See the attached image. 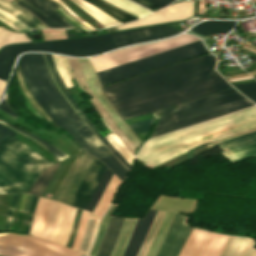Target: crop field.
Wrapping results in <instances>:
<instances>
[{
	"label": "crop field",
	"mask_w": 256,
	"mask_h": 256,
	"mask_svg": "<svg viewBox=\"0 0 256 256\" xmlns=\"http://www.w3.org/2000/svg\"><path fill=\"white\" fill-rule=\"evenodd\" d=\"M209 53L116 84L104 92L124 120L231 88Z\"/></svg>",
	"instance_id": "8a807250"
},
{
	"label": "crop field",
	"mask_w": 256,
	"mask_h": 256,
	"mask_svg": "<svg viewBox=\"0 0 256 256\" xmlns=\"http://www.w3.org/2000/svg\"><path fill=\"white\" fill-rule=\"evenodd\" d=\"M26 85L56 125L69 132L86 152L102 160L121 180L128 172L99 142L53 84L41 53L18 60Z\"/></svg>",
	"instance_id": "ac0d7876"
},
{
	"label": "crop field",
	"mask_w": 256,
	"mask_h": 256,
	"mask_svg": "<svg viewBox=\"0 0 256 256\" xmlns=\"http://www.w3.org/2000/svg\"><path fill=\"white\" fill-rule=\"evenodd\" d=\"M256 128V106L148 140L135 158L154 167L193 147Z\"/></svg>",
	"instance_id": "34b2d1b8"
},
{
	"label": "crop field",
	"mask_w": 256,
	"mask_h": 256,
	"mask_svg": "<svg viewBox=\"0 0 256 256\" xmlns=\"http://www.w3.org/2000/svg\"><path fill=\"white\" fill-rule=\"evenodd\" d=\"M0 147V187L6 193L27 192L39 174L53 163L12 138Z\"/></svg>",
	"instance_id": "412701ff"
},
{
	"label": "crop field",
	"mask_w": 256,
	"mask_h": 256,
	"mask_svg": "<svg viewBox=\"0 0 256 256\" xmlns=\"http://www.w3.org/2000/svg\"><path fill=\"white\" fill-rule=\"evenodd\" d=\"M131 44L125 31L90 38L29 44L5 48L0 52V79L6 81L15 57L23 51H52L85 56Z\"/></svg>",
	"instance_id": "f4fd0767"
},
{
	"label": "crop field",
	"mask_w": 256,
	"mask_h": 256,
	"mask_svg": "<svg viewBox=\"0 0 256 256\" xmlns=\"http://www.w3.org/2000/svg\"><path fill=\"white\" fill-rule=\"evenodd\" d=\"M252 105V103L236 92L173 112L160 117L150 138Z\"/></svg>",
	"instance_id": "dd49c442"
},
{
	"label": "crop field",
	"mask_w": 256,
	"mask_h": 256,
	"mask_svg": "<svg viewBox=\"0 0 256 256\" xmlns=\"http://www.w3.org/2000/svg\"><path fill=\"white\" fill-rule=\"evenodd\" d=\"M207 52L201 40L97 72L101 84L113 82L175 61Z\"/></svg>",
	"instance_id": "e52e79f7"
},
{
	"label": "crop field",
	"mask_w": 256,
	"mask_h": 256,
	"mask_svg": "<svg viewBox=\"0 0 256 256\" xmlns=\"http://www.w3.org/2000/svg\"><path fill=\"white\" fill-rule=\"evenodd\" d=\"M0 254L5 256H79V252L36 237L0 233Z\"/></svg>",
	"instance_id": "d8731c3e"
},
{
	"label": "crop field",
	"mask_w": 256,
	"mask_h": 256,
	"mask_svg": "<svg viewBox=\"0 0 256 256\" xmlns=\"http://www.w3.org/2000/svg\"><path fill=\"white\" fill-rule=\"evenodd\" d=\"M195 40H198V38L191 35L182 34L177 37L149 44H143L113 51L90 59L92 61L95 71L97 72Z\"/></svg>",
	"instance_id": "5a996713"
},
{
	"label": "crop field",
	"mask_w": 256,
	"mask_h": 256,
	"mask_svg": "<svg viewBox=\"0 0 256 256\" xmlns=\"http://www.w3.org/2000/svg\"><path fill=\"white\" fill-rule=\"evenodd\" d=\"M195 205L196 200L180 199L163 195L159 196L151 208L167 211V213L146 256H155L175 212L193 213Z\"/></svg>",
	"instance_id": "3316defc"
},
{
	"label": "crop field",
	"mask_w": 256,
	"mask_h": 256,
	"mask_svg": "<svg viewBox=\"0 0 256 256\" xmlns=\"http://www.w3.org/2000/svg\"><path fill=\"white\" fill-rule=\"evenodd\" d=\"M93 158L91 155L81 152L57 191L55 200L72 204L80 181Z\"/></svg>",
	"instance_id": "28ad6ade"
},
{
	"label": "crop field",
	"mask_w": 256,
	"mask_h": 256,
	"mask_svg": "<svg viewBox=\"0 0 256 256\" xmlns=\"http://www.w3.org/2000/svg\"><path fill=\"white\" fill-rule=\"evenodd\" d=\"M187 217L177 214L156 256H178L192 228L187 227Z\"/></svg>",
	"instance_id": "d1516ede"
},
{
	"label": "crop field",
	"mask_w": 256,
	"mask_h": 256,
	"mask_svg": "<svg viewBox=\"0 0 256 256\" xmlns=\"http://www.w3.org/2000/svg\"><path fill=\"white\" fill-rule=\"evenodd\" d=\"M58 202L38 198L30 233L44 239H50L53 231Z\"/></svg>",
	"instance_id": "22f410ed"
},
{
	"label": "crop field",
	"mask_w": 256,
	"mask_h": 256,
	"mask_svg": "<svg viewBox=\"0 0 256 256\" xmlns=\"http://www.w3.org/2000/svg\"><path fill=\"white\" fill-rule=\"evenodd\" d=\"M28 2L33 7L38 9H33L28 4L22 2L21 0H16L14 3L25 8L35 16H37L48 28H72L67 22H65L53 9L59 7L56 3L51 0H23Z\"/></svg>",
	"instance_id": "cbeb9de0"
},
{
	"label": "crop field",
	"mask_w": 256,
	"mask_h": 256,
	"mask_svg": "<svg viewBox=\"0 0 256 256\" xmlns=\"http://www.w3.org/2000/svg\"><path fill=\"white\" fill-rule=\"evenodd\" d=\"M105 168L101 162L94 158L84 175L72 205L86 208Z\"/></svg>",
	"instance_id": "5142ce71"
},
{
	"label": "crop field",
	"mask_w": 256,
	"mask_h": 256,
	"mask_svg": "<svg viewBox=\"0 0 256 256\" xmlns=\"http://www.w3.org/2000/svg\"><path fill=\"white\" fill-rule=\"evenodd\" d=\"M157 211L149 209L143 219H138L122 256H136Z\"/></svg>",
	"instance_id": "d9b57169"
},
{
	"label": "crop field",
	"mask_w": 256,
	"mask_h": 256,
	"mask_svg": "<svg viewBox=\"0 0 256 256\" xmlns=\"http://www.w3.org/2000/svg\"><path fill=\"white\" fill-rule=\"evenodd\" d=\"M75 210V208L60 203L54 231L50 240L64 246L66 245L71 231Z\"/></svg>",
	"instance_id": "733c2abd"
},
{
	"label": "crop field",
	"mask_w": 256,
	"mask_h": 256,
	"mask_svg": "<svg viewBox=\"0 0 256 256\" xmlns=\"http://www.w3.org/2000/svg\"><path fill=\"white\" fill-rule=\"evenodd\" d=\"M223 154L232 162L256 156V135L223 146Z\"/></svg>",
	"instance_id": "4a817a6b"
},
{
	"label": "crop field",
	"mask_w": 256,
	"mask_h": 256,
	"mask_svg": "<svg viewBox=\"0 0 256 256\" xmlns=\"http://www.w3.org/2000/svg\"><path fill=\"white\" fill-rule=\"evenodd\" d=\"M254 240L246 237L227 236L221 256H256Z\"/></svg>",
	"instance_id": "bc2a9ffb"
},
{
	"label": "crop field",
	"mask_w": 256,
	"mask_h": 256,
	"mask_svg": "<svg viewBox=\"0 0 256 256\" xmlns=\"http://www.w3.org/2000/svg\"><path fill=\"white\" fill-rule=\"evenodd\" d=\"M124 218L111 216L97 256H109Z\"/></svg>",
	"instance_id": "214f88e0"
},
{
	"label": "crop field",
	"mask_w": 256,
	"mask_h": 256,
	"mask_svg": "<svg viewBox=\"0 0 256 256\" xmlns=\"http://www.w3.org/2000/svg\"><path fill=\"white\" fill-rule=\"evenodd\" d=\"M194 1L174 3L159 10L166 22L185 19L193 15Z\"/></svg>",
	"instance_id": "92a150f3"
},
{
	"label": "crop field",
	"mask_w": 256,
	"mask_h": 256,
	"mask_svg": "<svg viewBox=\"0 0 256 256\" xmlns=\"http://www.w3.org/2000/svg\"><path fill=\"white\" fill-rule=\"evenodd\" d=\"M210 233L192 230L180 256H199Z\"/></svg>",
	"instance_id": "dafd665d"
},
{
	"label": "crop field",
	"mask_w": 256,
	"mask_h": 256,
	"mask_svg": "<svg viewBox=\"0 0 256 256\" xmlns=\"http://www.w3.org/2000/svg\"><path fill=\"white\" fill-rule=\"evenodd\" d=\"M234 25H235V21H204L190 30L203 35H208V34L227 32Z\"/></svg>",
	"instance_id": "00972430"
},
{
	"label": "crop field",
	"mask_w": 256,
	"mask_h": 256,
	"mask_svg": "<svg viewBox=\"0 0 256 256\" xmlns=\"http://www.w3.org/2000/svg\"><path fill=\"white\" fill-rule=\"evenodd\" d=\"M91 4H93L94 6L104 10L105 12H107L109 15H111L112 17L116 18L117 20H119L122 23L125 22H129V21H133V20H137L139 18L103 1V0H85Z\"/></svg>",
	"instance_id": "a9b5d70f"
},
{
	"label": "crop field",
	"mask_w": 256,
	"mask_h": 256,
	"mask_svg": "<svg viewBox=\"0 0 256 256\" xmlns=\"http://www.w3.org/2000/svg\"><path fill=\"white\" fill-rule=\"evenodd\" d=\"M137 219H124L116 245L111 256H121Z\"/></svg>",
	"instance_id": "4177f3b9"
},
{
	"label": "crop field",
	"mask_w": 256,
	"mask_h": 256,
	"mask_svg": "<svg viewBox=\"0 0 256 256\" xmlns=\"http://www.w3.org/2000/svg\"><path fill=\"white\" fill-rule=\"evenodd\" d=\"M0 8L13 14L23 22H25L27 25H29L32 28H46L43 24H41L36 18H34L32 15H30L28 12L4 1L0 0ZM20 11H23L21 13Z\"/></svg>",
	"instance_id": "730fd06b"
},
{
	"label": "crop field",
	"mask_w": 256,
	"mask_h": 256,
	"mask_svg": "<svg viewBox=\"0 0 256 256\" xmlns=\"http://www.w3.org/2000/svg\"><path fill=\"white\" fill-rule=\"evenodd\" d=\"M121 181L118 180L114 175L113 177L111 178L108 186L106 187L104 193L102 194L95 210H94V214L100 218V216L104 213V211L108 208L112 198H113V195L119 185Z\"/></svg>",
	"instance_id": "eef30255"
},
{
	"label": "crop field",
	"mask_w": 256,
	"mask_h": 256,
	"mask_svg": "<svg viewBox=\"0 0 256 256\" xmlns=\"http://www.w3.org/2000/svg\"><path fill=\"white\" fill-rule=\"evenodd\" d=\"M226 236L212 232L201 256H220Z\"/></svg>",
	"instance_id": "ae1a2a85"
},
{
	"label": "crop field",
	"mask_w": 256,
	"mask_h": 256,
	"mask_svg": "<svg viewBox=\"0 0 256 256\" xmlns=\"http://www.w3.org/2000/svg\"><path fill=\"white\" fill-rule=\"evenodd\" d=\"M0 123L12 128L14 131L18 132V133H21L23 135H26L28 136L29 138L33 139L34 141L40 143L41 145H43L44 147H46L56 158H58L59 160H62L66 157H68L66 154H64L63 152H61L60 150H58L56 147H54L52 144L46 142L45 140L7 122V121H4L2 119H0Z\"/></svg>",
	"instance_id": "d3111659"
},
{
	"label": "crop field",
	"mask_w": 256,
	"mask_h": 256,
	"mask_svg": "<svg viewBox=\"0 0 256 256\" xmlns=\"http://www.w3.org/2000/svg\"><path fill=\"white\" fill-rule=\"evenodd\" d=\"M72 1L75 4H77L78 6H80L81 8H83L85 11H87L89 14H91L93 17H95L99 22H101L106 27L120 24L118 21H116L114 18H112L108 14L104 13L100 9L94 7L93 5L85 2L84 0H76V1H78L80 4H82L83 6L88 8L89 10H91L94 14L92 12L88 11L87 9H85L83 6L76 3L74 0H72Z\"/></svg>",
	"instance_id": "750c4746"
},
{
	"label": "crop field",
	"mask_w": 256,
	"mask_h": 256,
	"mask_svg": "<svg viewBox=\"0 0 256 256\" xmlns=\"http://www.w3.org/2000/svg\"><path fill=\"white\" fill-rule=\"evenodd\" d=\"M59 164L60 162L46 169L34 183L29 192L41 196L48 181L50 180L51 176L53 175Z\"/></svg>",
	"instance_id": "bd1437ed"
},
{
	"label": "crop field",
	"mask_w": 256,
	"mask_h": 256,
	"mask_svg": "<svg viewBox=\"0 0 256 256\" xmlns=\"http://www.w3.org/2000/svg\"><path fill=\"white\" fill-rule=\"evenodd\" d=\"M165 213L166 212H162V211L157 212V214L154 218V221L151 225V228H150V230L147 234V237H146V239H145V241H144V243H143V245H142V247H141L137 256H145V254H146V252H147V250H148V248H149V246H150V244H151V242H152V240H153V238H154V236H155V234L158 230V227H159Z\"/></svg>",
	"instance_id": "1d83c4d3"
},
{
	"label": "crop field",
	"mask_w": 256,
	"mask_h": 256,
	"mask_svg": "<svg viewBox=\"0 0 256 256\" xmlns=\"http://www.w3.org/2000/svg\"><path fill=\"white\" fill-rule=\"evenodd\" d=\"M139 18L151 13L150 11L128 1V0H105Z\"/></svg>",
	"instance_id": "120bbe31"
},
{
	"label": "crop field",
	"mask_w": 256,
	"mask_h": 256,
	"mask_svg": "<svg viewBox=\"0 0 256 256\" xmlns=\"http://www.w3.org/2000/svg\"><path fill=\"white\" fill-rule=\"evenodd\" d=\"M52 55V54H51ZM56 68L63 79L66 87L72 86V74L70 72L66 58L63 56L52 55Z\"/></svg>",
	"instance_id": "d32e631a"
},
{
	"label": "crop field",
	"mask_w": 256,
	"mask_h": 256,
	"mask_svg": "<svg viewBox=\"0 0 256 256\" xmlns=\"http://www.w3.org/2000/svg\"><path fill=\"white\" fill-rule=\"evenodd\" d=\"M115 207H116V204L112 203L110 208L108 209V211L103 216V218L100 222V225H99L97 237H96L95 243L93 245L92 251L90 253V256H96L97 251H98L99 246H100V243H101V240H102V237H103V234H104V231H105V228L107 226L109 217H110L111 213L113 212V210L115 209Z\"/></svg>",
	"instance_id": "5866460e"
},
{
	"label": "crop field",
	"mask_w": 256,
	"mask_h": 256,
	"mask_svg": "<svg viewBox=\"0 0 256 256\" xmlns=\"http://www.w3.org/2000/svg\"><path fill=\"white\" fill-rule=\"evenodd\" d=\"M112 174L113 173L107 168V170L103 174V176H102V178H101V180L99 182V185H98V187H97V189H96V191H95V193H94V195H93V197H92V199H91V201H90V203H89V205L87 207V210L93 211L97 201L99 200V198H100V196H101L105 186L109 182Z\"/></svg>",
	"instance_id": "028f5c9d"
},
{
	"label": "crop field",
	"mask_w": 256,
	"mask_h": 256,
	"mask_svg": "<svg viewBox=\"0 0 256 256\" xmlns=\"http://www.w3.org/2000/svg\"><path fill=\"white\" fill-rule=\"evenodd\" d=\"M233 92H236V90L231 88V89H228V90L216 93V94H212V95H209V96H206V97H203V98H200V99H197V100H194V101L182 104V105H178V106L163 110L162 113L166 114V113H169V112H173V111H176V110L188 107V106H192V105H195V104L207 101V100H211V99H214V98L226 95V94H230V93H233Z\"/></svg>",
	"instance_id": "e1f06a70"
},
{
	"label": "crop field",
	"mask_w": 256,
	"mask_h": 256,
	"mask_svg": "<svg viewBox=\"0 0 256 256\" xmlns=\"http://www.w3.org/2000/svg\"><path fill=\"white\" fill-rule=\"evenodd\" d=\"M163 22H165L164 19L161 17V15L158 13V11H156V12L144 17L143 19H141L137 22L117 26L116 28H117V30H120V29H125V28L155 24V23H163Z\"/></svg>",
	"instance_id": "0bd39190"
},
{
	"label": "crop field",
	"mask_w": 256,
	"mask_h": 256,
	"mask_svg": "<svg viewBox=\"0 0 256 256\" xmlns=\"http://www.w3.org/2000/svg\"><path fill=\"white\" fill-rule=\"evenodd\" d=\"M29 41L26 34L9 32L0 27V46L8 43Z\"/></svg>",
	"instance_id": "b80d0937"
},
{
	"label": "crop field",
	"mask_w": 256,
	"mask_h": 256,
	"mask_svg": "<svg viewBox=\"0 0 256 256\" xmlns=\"http://www.w3.org/2000/svg\"><path fill=\"white\" fill-rule=\"evenodd\" d=\"M117 150L118 152L131 164L133 155L123 145V143L116 137L114 133H108L105 137Z\"/></svg>",
	"instance_id": "c035e120"
},
{
	"label": "crop field",
	"mask_w": 256,
	"mask_h": 256,
	"mask_svg": "<svg viewBox=\"0 0 256 256\" xmlns=\"http://www.w3.org/2000/svg\"><path fill=\"white\" fill-rule=\"evenodd\" d=\"M88 214H89L88 211H84V210L82 211L80 222H79L78 229H77L76 239H75V241L73 243V247H72L74 249L78 250L81 245L83 235L85 232L87 219H88Z\"/></svg>",
	"instance_id": "c21b1889"
},
{
	"label": "crop field",
	"mask_w": 256,
	"mask_h": 256,
	"mask_svg": "<svg viewBox=\"0 0 256 256\" xmlns=\"http://www.w3.org/2000/svg\"><path fill=\"white\" fill-rule=\"evenodd\" d=\"M45 55H46V57H47L48 63H49L50 68H51V70H52V72H53V75H54V78H55L56 82L58 83V85L60 86V88L63 90V92L65 93V95L68 97V99L70 100V102L73 104V106L76 108V110L79 112V114L82 113V111L80 110L81 108L79 109V107L77 106V104L75 103V101H74V100L72 99V97L70 96V94H69L68 90L66 89L64 83L62 82L61 78L59 77V75H58V73H57V71H56V69H55V67H54V64H53V62H52V59H51L50 55H49V54H45Z\"/></svg>",
	"instance_id": "03da06ac"
},
{
	"label": "crop field",
	"mask_w": 256,
	"mask_h": 256,
	"mask_svg": "<svg viewBox=\"0 0 256 256\" xmlns=\"http://www.w3.org/2000/svg\"><path fill=\"white\" fill-rule=\"evenodd\" d=\"M131 43L143 42L152 40V37L147 28L137 29V30H129L126 31Z\"/></svg>",
	"instance_id": "b54c1fbb"
},
{
	"label": "crop field",
	"mask_w": 256,
	"mask_h": 256,
	"mask_svg": "<svg viewBox=\"0 0 256 256\" xmlns=\"http://www.w3.org/2000/svg\"><path fill=\"white\" fill-rule=\"evenodd\" d=\"M149 30H150L154 39L172 36V35H174L178 32H181L179 30L173 29V28L168 27L166 25L150 27Z\"/></svg>",
	"instance_id": "5d738f31"
},
{
	"label": "crop field",
	"mask_w": 256,
	"mask_h": 256,
	"mask_svg": "<svg viewBox=\"0 0 256 256\" xmlns=\"http://www.w3.org/2000/svg\"><path fill=\"white\" fill-rule=\"evenodd\" d=\"M0 15L2 17H4L6 20L10 21L11 24L0 17L1 21H3L4 23L8 24L9 26H11L12 28H14L16 30L29 29L30 28L29 26H27L25 23H23L19 19L15 18L14 16H12V15H10V14L2 11V10H0Z\"/></svg>",
	"instance_id": "d23c7cc5"
},
{
	"label": "crop field",
	"mask_w": 256,
	"mask_h": 256,
	"mask_svg": "<svg viewBox=\"0 0 256 256\" xmlns=\"http://www.w3.org/2000/svg\"><path fill=\"white\" fill-rule=\"evenodd\" d=\"M95 220H96V218H89L88 219L84 240H83V243H82L79 250H82V251L86 250V248H87V246H88V244H89V242L92 238L93 229H94V225H95Z\"/></svg>",
	"instance_id": "425ffa30"
},
{
	"label": "crop field",
	"mask_w": 256,
	"mask_h": 256,
	"mask_svg": "<svg viewBox=\"0 0 256 256\" xmlns=\"http://www.w3.org/2000/svg\"><path fill=\"white\" fill-rule=\"evenodd\" d=\"M152 121H153V118L150 120L129 124V126L134 131V133L137 134V133H140V132L150 129V127L152 125Z\"/></svg>",
	"instance_id": "25e5ab78"
},
{
	"label": "crop field",
	"mask_w": 256,
	"mask_h": 256,
	"mask_svg": "<svg viewBox=\"0 0 256 256\" xmlns=\"http://www.w3.org/2000/svg\"><path fill=\"white\" fill-rule=\"evenodd\" d=\"M17 71H18V76H19V81H20V85L24 91V93L26 94V96L28 97V99L31 101V103L41 112V114L45 117L48 118V116L46 115V113L42 110V108L37 104V102L32 98V96L29 94L23 80L21 77V74L19 72L18 66L16 65Z\"/></svg>",
	"instance_id": "73cf0c24"
},
{
	"label": "crop field",
	"mask_w": 256,
	"mask_h": 256,
	"mask_svg": "<svg viewBox=\"0 0 256 256\" xmlns=\"http://www.w3.org/2000/svg\"><path fill=\"white\" fill-rule=\"evenodd\" d=\"M237 87L256 101V82L243 84V85H237Z\"/></svg>",
	"instance_id": "89e229c0"
},
{
	"label": "crop field",
	"mask_w": 256,
	"mask_h": 256,
	"mask_svg": "<svg viewBox=\"0 0 256 256\" xmlns=\"http://www.w3.org/2000/svg\"><path fill=\"white\" fill-rule=\"evenodd\" d=\"M81 116H82V118L86 121V123L91 127V125H92V123L87 119V117L85 116V114H84V116H85V118L89 121V123L91 124H89L88 122H87V120L83 117V115L81 114ZM93 126V125H92ZM94 127V126H93ZM92 128V127H91ZM95 128V127H94ZM93 129V128H92ZM96 129V128H95ZM93 131L102 139V141L117 155V157L128 167V168H130V164L106 141V139L104 138V137H102V136H100L99 134V132L97 131V129H96V131L99 133H97L94 129H93Z\"/></svg>",
	"instance_id": "1f2cbd36"
},
{
	"label": "crop field",
	"mask_w": 256,
	"mask_h": 256,
	"mask_svg": "<svg viewBox=\"0 0 256 256\" xmlns=\"http://www.w3.org/2000/svg\"><path fill=\"white\" fill-rule=\"evenodd\" d=\"M32 196L27 194H22L19 202L17 212H28Z\"/></svg>",
	"instance_id": "dbb93151"
},
{
	"label": "crop field",
	"mask_w": 256,
	"mask_h": 256,
	"mask_svg": "<svg viewBox=\"0 0 256 256\" xmlns=\"http://www.w3.org/2000/svg\"><path fill=\"white\" fill-rule=\"evenodd\" d=\"M81 211L82 210H80V209L76 210L72 231H71L68 243L66 245L67 247L71 248V246H72V242H73V239H74L75 234H76V229H77V225H78V221H79V217H80Z\"/></svg>",
	"instance_id": "0fb4a251"
},
{
	"label": "crop field",
	"mask_w": 256,
	"mask_h": 256,
	"mask_svg": "<svg viewBox=\"0 0 256 256\" xmlns=\"http://www.w3.org/2000/svg\"><path fill=\"white\" fill-rule=\"evenodd\" d=\"M18 195L19 194H14L13 195V198H12V201H11L8 213H7V220H6L5 230H10L12 213L14 211V208H15V205H16V202H17V199H18Z\"/></svg>",
	"instance_id": "1d79db26"
},
{
	"label": "crop field",
	"mask_w": 256,
	"mask_h": 256,
	"mask_svg": "<svg viewBox=\"0 0 256 256\" xmlns=\"http://www.w3.org/2000/svg\"><path fill=\"white\" fill-rule=\"evenodd\" d=\"M43 54V56H44V59H45V62H46V64H47V67H48V70H49V72H50V75H51V78H52V80H53V82L55 83V85H56V87L58 88V90L61 92V90H60V88H59V86L57 85V83L55 82V80H54V78H53V75H52V72H51V70H50V68H49V65H48V63H47V60H46V57H45V55H44V53H42ZM61 94L63 95V93L61 92ZM64 96V95H63ZM64 98L66 99V97L64 96ZM67 100V99H66ZM68 101V100H67ZM69 102V101H68ZM69 104L71 105V103L69 102ZM71 107L74 109V107L71 105ZM75 110V109H74ZM76 111V110H75ZM77 112V111H76ZM79 115V114H78ZM80 116V115H79ZM81 117V116H80ZM82 119V118H81ZM83 120V119H82ZM84 121V120H83ZM84 123H85V121H84ZM86 124V123H85ZM87 125V124H86ZM88 126V125H87ZM88 128L90 129V127L88 126ZM91 130V129H90ZM92 131V130H91ZM93 132V131H92ZM94 133V132H93ZM94 135L100 140V142L112 153V151L101 141V139L94 133ZM113 154V153H112ZM114 155V154H113ZM115 156V155H114ZM116 157V156H115ZM116 159L119 161V159L116 157ZM120 163H121V161H120ZM122 165L127 169V170H129L123 163H122Z\"/></svg>",
	"instance_id": "9d1cf04e"
},
{
	"label": "crop field",
	"mask_w": 256,
	"mask_h": 256,
	"mask_svg": "<svg viewBox=\"0 0 256 256\" xmlns=\"http://www.w3.org/2000/svg\"><path fill=\"white\" fill-rule=\"evenodd\" d=\"M14 135H16L15 132L0 124V144Z\"/></svg>",
	"instance_id": "447ae74e"
},
{
	"label": "crop field",
	"mask_w": 256,
	"mask_h": 256,
	"mask_svg": "<svg viewBox=\"0 0 256 256\" xmlns=\"http://www.w3.org/2000/svg\"><path fill=\"white\" fill-rule=\"evenodd\" d=\"M37 198L38 197L34 196L33 200H32L30 212H29V215H28V218H27L26 229H25V232H27V233H29V231H30V227H31V223H32V217H33V212H34V209H35V206H36Z\"/></svg>",
	"instance_id": "0765c3eb"
},
{
	"label": "crop field",
	"mask_w": 256,
	"mask_h": 256,
	"mask_svg": "<svg viewBox=\"0 0 256 256\" xmlns=\"http://www.w3.org/2000/svg\"><path fill=\"white\" fill-rule=\"evenodd\" d=\"M56 2H58L62 7H64L74 18H76L79 22H81L83 25L87 26L88 28H90L91 30H95V28L93 26H91L89 23L83 21L82 19H80L78 16H76L74 13H72L60 0H54Z\"/></svg>",
	"instance_id": "db79e9e6"
},
{
	"label": "crop field",
	"mask_w": 256,
	"mask_h": 256,
	"mask_svg": "<svg viewBox=\"0 0 256 256\" xmlns=\"http://www.w3.org/2000/svg\"><path fill=\"white\" fill-rule=\"evenodd\" d=\"M0 109L7 112L12 117H17L18 115L8 106V102L3 99V101L0 103Z\"/></svg>",
	"instance_id": "7b73153f"
},
{
	"label": "crop field",
	"mask_w": 256,
	"mask_h": 256,
	"mask_svg": "<svg viewBox=\"0 0 256 256\" xmlns=\"http://www.w3.org/2000/svg\"><path fill=\"white\" fill-rule=\"evenodd\" d=\"M148 1L151 2L152 4L156 5V6L160 7V8L167 5V4H165V3H163L159 0H148Z\"/></svg>",
	"instance_id": "78b8030e"
},
{
	"label": "crop field",
	"mask_w": 256,
	"mask_h": 256,
	"mask_svg": "<svg viewBox=\"0 0 256 256\" xmlns=\"http://www.w3.org/2000/svg\"><path fill=\"white\" fill-rule=\"evenodd\" d=\"M253 134H256V132L249 133V134H246V135H243V136H240V137H237V138L231 139V140H227V141L221 142V143H220V145H221V144H224V143H227V142H231V141H234V140L240 139V138H243V137H246V136H249V135H253Z\"/></svg>",
	"instance_id": "0f1d7ab4"
},
{
	"label": "crop field",
	"mask_w": 256,
	"mask_h": 256,
	"mask_svg": "<svg viewBox=\"0 0 256 256\" xmlns=\"http://www.w3.org/2000/svg\"><path fill=\"white\" fill-rule=\"evenodd\" d=\"M134 1H136V2H138V3H140V4H142V5H144V6H146V7L151 6V5L145 3V2H143V1H141V0H134Z\"/></svg>",
	"instance_id": "e1d0b9f6"
},
{
	"label": "crop field",
	"mask_w": 256,
	"mask_h": 256,
	"mask_svg": "<svg viewBox=\"0 0 256 256\" xmlns=\"http://www.w3.org/2000/svg\"><path fill=\"white\" fill-rule=\"evenodd\" d=\"M4 85H5V82L4 81H2V80H0V89H4Z\"/></svg>",
	"instance_id": "ae633e8c"
},
{
	"label": "crop field",
	"mask_w": 256,
	"mask_h": 256,
	"mask_svg": "<svg viewBox=\"0 0 256 256\" xmlns=\"http://www.w3.org/2000/svg\"><path fill=\"white\" fill-rule=\"evenodd\" d=\"M161 1H163V2H165V3H167V4H169V3H171L173 0H161Z\"/></svg>",
	"instance_id": "d14b1444"
},
{
	"label": "crop field",
	"mask_w": 256,
	"mask_h": 256,
	"mask_svg": "<svg viewBox=\"0 0 256 256\" xmlns=\"http://www.w3.org/2000/svg\"><path fill=\"white\" fill-rule=\"evenodd\" d=\"M251 76H248V77H243V78H237V79H232L230 81H233V80H239V79H244V78H250Z\"/></svg>",
	"instance_id": "c39391a2"
},
{
	"label": "crop field",
	"mask_w": 256,
	"mask_h": 256,
	"mask_svg": "<svg viewBox=\"0 0 256 256\" xmlns=\"http://www.w3.org/2000/svg\"><path fill=\"white\" fill-rule=\"evenodd\" d=\"M249 74H251L252 76L253 75H256V70L252 71V72H249Z\"/></svg>",
	"instance_id": "ade564c9"
},
{
	"label": "crop field",
	"mask_w": 256,
	"mask_h": 256,
	"mask_svg": "<svg viewBox=\"0 0 256 256\" xmlns=\"http://www.w3.org/2000/svg\"><path fill=\"white\" fill-rule=\"evenodd\" d=\"M228 16H229V17H231V16H232V11H229Z\"/></svg>",
	"instance_id": "c5b07064"
},
{
	"label": "crop field",
	"mask_w": 256,
	"mask_h": 256,
	"mask_svg": "<svg viewBox=\"0 0 256 256\" xmlns=\"http://www.w3.org/2000/svg\"><path fill=\"white\" fill-rule=\"evenodd\" d=\"M0 193H5V192L0 188Z\"/></svg>",
	"instance_id": "c3a83c6f"
},
{
	"label": "crop field",
	"mask_w": 256,
	"mask_h": 256,
	"mask_svg": "<svg viewBox=\"0 0 256 256\" xmlns=\"http://www.w3.org/2000/svg\"><path fill=\"white\" fill-rule=\"evenodd\" d=\"M1 93H2V90H0V95H1Z\"/></svg>",
	"instance_id": "fb207236"
},
{
	"label": "crop field",
	"mask_w": 256,
	"mask_h": 256,
	"mask_svg": "<svg viewBox=\"0 0 256 256\" xmlns=\"http://www.w3.org/2000/svg\"><path fill=\"white\" fill-rule=\"evenodd\" d=\"M8 1L12 2V1H14V0H8Z\"/></svg>",
	"instance_id": "7312dd0a"
}]
</instances>
